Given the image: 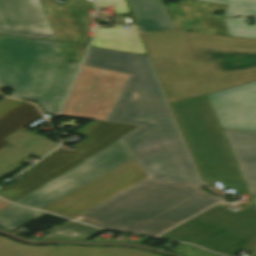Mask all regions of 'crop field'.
Instances as JSON below:
<instances>
[{"instance_id":"crop-field-18","label":"crop field","mask_w":256,"mask_h":256,"mask_svg":"<svg viewBox=\"0 0 256 256\" xmlns=\"http://www.w3.org/2000/svg\"><path fill=\"white\" fill-rule=\"evenodd\" d=\"M55 246H27L0 237V256H44Z\"/></svg>"},{"instance_id":"crop-field-12","label":"crop field","mask_w":256,"mask_h":256,"mask_svg":"<svg viewBox=\"0 0 256 256\" xmlns=\"http://www.w3.org/2000/svg\"><path fill=\"white\" fill-rule=\"evenodd\" d=\"M14 143L18 145L17 149L6 147L0 150V177L19 167L15 163L28 155L32 154L40 158L58 145L33 133L22 137Z\"/></svg>"},{"instance_id":"crop-field-26","label":"crop field","mask_w":256,"mask_h":256,"mask_svg":"<svg viewBox=\"0 0 256 256\" xmlns=\"http://www.w3.org/2000/svg\"><path fill=\"white\" fill-rule=\"evenodd\" d=\"M254 198V202H255V204H256V197H253Z\"/></svg>"},{"instance_id":"crop-field-7","label":"crop field","mask_w":256,"mask_h":256,"mask_svg":"<svg viewBox=\"0 0 256 256\" xmlns=\"http://www.w3.org/2000/svg\"><path fill=\"white\" fill-rule=\"evenodd\" d=\"M127 77V74L83 65L61 115L105 120Z\"/></svg>"},{"instance_id":"crop-field-14","label":"crop field","mask_w":256,"mask_h":256,"mask_svg":"<svg viewBox=\"0 0 256 256\" xmlns=\"http://www.w3.org/2000/svg\"><path fill=\"white\" fill-rule=\"evenodd\" d=\"M140 31L174 29L162 0H127Z\"/></svg>"},{"instance_id":"crop-field-3","label":"crop field","mask_w":256,"mask_h":256,"mask_svg":"<svg viewBox=\"0 0 256 256\" xmlns=\"http://www.w3.org/2000/svg\"><path fill=\"white\" fill-rule=\"evenodd\" d=\"M78 65L63 60L56 42L0 35V86L46 114L58 112Z\"/></svg>"},{"instance_id":"crop-field-20","label":"crop field","mask_w":256,"mask_h":256,"mask_svg":"<svg viewBox=\"0 0 256 256\" xmlns=\"http://www.w3.org/2000/svg\"><path fill=\"white\" fill-rule=\"evenodd\" d=\"M218 4L228 5L225 17L255 15L256 16V0H200Z\"/></svg>"},{"instance_id":"crop-field-21","label":"crop field","mask_w":256,"mask_h":256,"mask_svg":"<svg viewBox=\"0 0 256 256\" xmlns=\"http://www.w3.org/2000/svg\"><path fill=\"white\" fill-rule=\"evenodd\" d=\"M230 36L256 39V25L249 26L245 17L234 19L224 18ZM255 23H256V18ZM244 21H247L245 23Z\"/></svg>"},{"instance_id":"crop-field-5","label":"crop field","mask_w":256,"mask_h":256,"mask_svg":"<svg viewBox=\"0 0 256 256\" xmlns=\"http://www.w3.org/2000/svg\"><path fill=\"white\" fill-rule=\"evenodd\" d=\"M136 125L91 121L74 131L86 139L76 145L75 152L58 148L25 172L24 178L14 184L0 188V197L12 202L43 186L42 183L84 162V159L109 145L119 137L135 129ZM46 183V182H45ZM44 184V183H43Z\"/></svg>"},{"instance_id":"crop-field-4","label":"crop field","mask_w":256,"mask_h":256,"mask_svg":"<svg viewBox=\"0 0 256 256\" xmlns=\"http://www.w3.org/2000/svg\"><path fill=\"white\" fill-rule=\"evenodd\" d=\"M160 237L198 244L234 256L256 238V208L253 205L232 212L217 204Z\"/></svg>"},{"instance_id":"crop-field-19","label":"crop field","mask_w":256,"mask_h":256,"mask_svg":"<svg viewBox=\"0 0 256 256\" xmlns=\"http://www.w3.org/2000/svg\"><path fill=\"white\" fill-rule=\"evenodd\" d=\"M99 232H101V230H97L90 226L69 221L64 225L58 227L57 229L53 230L52 232L46 234L42 238L67 237L88 240Z\"/></svg>"},{"instance_id":"crop-field-8","label":"crop field","mask_w":256,"mask_h":256,"mask_svg":"<svg viewBox=\"0 0 256 256\" xmlns=\"http://www.w3.org/2000/svg\"><path fill=\"white\" fill-rule=\"evenodd\" d=\"M146 177L134 158L41 210L73 219Z\"/></svg>"},{"instance_id":"crop-field-23","label":"crop field","mask_w":256,"mask_h":256,"mask_svg":"<svg viewBox=\"0 0 256 256\" xmlns=\"http://www.w3.org/2000/svg\"><path fill=\"white\" fill-rule=\"evenodd\" d=\"M23 103V101L4 98L0 100V115Z\"/></svg>"},{"instance_id":"crop-field-22","label":"crop field","mask_w":256,"mask_h":256,"mask_svg":"<svg viewBox=\"0 0 256 256\" xmlns=\"http://www.w3.org/2000/svg\"><path fill=\"white\" fill-rule=\"evenodd\" d=\"M98 6L113 5L115 24H134L132 16L124 0H97Z\"/></svg>"},{"instance_id":"crop-field-11","label":"crop field","mask_w":256,"mask_h":256,"mask_svg":"<svg viewBox=\"0 0 256 256\" xmlns=\"http://www.w3.org/2000/svg\"><path fill=\"white\" fill-rule=\"evenodd\" d=\"M250 193L256 196V131L224 129Z\"/></svg>"},{"instance_id":"crop-field-24","label":"crop field","mask_w":256,"mask_h":256,"mask_svg":"<svg viewBox=\"0 0 256 256\" xmlns=\"http://www.w3.org/2000/svg\"><path fill=\"white\" fill-rule=\"evenodd\" d=\"M26 133H28V132L26 131V129L23 128L20 131L16 132L15 134H13V135L5 138V139L10 142V141H13L14 139H16L17 135H19V134H26Z\"/></svg>"},{"instance_id":"crop-field-2","label":"crop field","mask_w":256,"mask_h":256,"mask_svg":"<svg viewBox=\"0 0 256 256\" xmlns=\"http://www.w3.org/2000/svg\"><path fill=\"white\" fill-rule=\"evenodd\" d=\"M169 101L256 79V40L184 33L141 34Z\"/></svg>"},{"instance_id":"crop-field-10","label":"crop field","mask_w":256,"mask_h":256,"mask_svg":"<svg viewBox=\"0 0 256 256\" xmlns=\"http://www.w3.org/2000/svg\"><path fill=\"white\" fill-rule=\"evenodd\" d=\"M0 33L56 40L39 0H0Z\"/></svg>"},{"instance_id":"crop-field-6","label":"crop field","mask_w":256,"mask_h":256,"mask_svg":"<svg viewBox=\"0 0 256 256\" xmlns=\"http://www.w3.org/2000/svg\"><path fill=\"white\" fill-rule=\"evenodd\" d=\"M132 158L118 139L85 159L84 163L47 181L43 187L15 203L40 209Z\"/></svg>"},{"instance_id":"crop-field-13","label":"crop field","mask_w":256,"mask_h":256,"mask_svg":"<svg viewBox=\"0 0 256 256\" xmlns=\"http://www.w3.org/2000/svg\"><path fill=\"white\" fill-rule=\"evenodd\" d=\"M123 28H97L92 46L147 55L135 26Z\"/></svg>"},{"instance_id":"crop-field-16","label":"crop field","mask_w":256,"mask_h":256,"mask_svg":"<svg viewBox=\"0 0 256 256\" xmlns=\"http://www.w3.org/2000/svg\"><path fill=\"white\" fill-rule=\"evenodd\" d=\"M45 256H159L148 252L121 248H91V247H73L56 246Z\"/></svg>"},{"instance_id":"crop-field-1","label":"crop field","mask_w":256,"mask_h":256,"mask_svg":"<svg viewBox=\"0 0 256 256\" xmlns=\"http://www.w3.org/2000/svg\"><path fill=\"white\" fill-rule=\"evenodd\" d=\"M83 64L130 74L106 120L141 125L119 139L150 177L74 220L156 236L222 200L200 190L147 56L91 47Z\"/></svg>"},{"instance_id":"crop-field-25","label":"crop field","mask_w":256,"mask_h":256,"mask_svg":"<svg viewBox=\"0 0 256 256\" xmlns=\"http://www.w3.org/2000/svg\"><path fill=\"white\" fill-rule=\"evenodd\" d=\"M8 204H10V203L5 202V201H3V200L0 201V209L3 208L4 206L8 205Z\"/></svg>"},{"instance_id":"crop-field-17","label":"crop field","mask_w":256,"mask_h":256,"mask_svg":"<svg viewBox=\"0 0 256 256\" xmlns=\"http://www.w3.org/2000/svg\"><path fill=\"white\" fill-rule=\"evenodd\" d=\"M42 214L43 212L28 210L11 204L0 210V226L13 231Z\"/></svg>"},{"instance_id":"crop-field-15","label":"crop field","mask_w":256,"mask_h":256,"mask_svg":"<svg viewBox=\"0 0 256 256\" xmlns=\"http://www.w3.org/2000/svg\"><path fill=\"white\" fill-rule=\"evenodd\" d=\"M39 111V110H38ZM36 107L25 102L16 108L6 112L0 116V149L6 147L10 143L4 140L5 137L15 133L24 125L41 117ZM25 127V126H24Z\"/></svg>"},{"instance_id":"crop-field-27","label":"crop field","mask_w":256,"mask_h":256,"mask_svg":"<svg viewBox=\"0 0 256 256\" xmlns=\"http://www.w3.org/2000/svg\"><path fill=\"white\" fill-rule=\"evenodd\" d=\"M24 136V135H23ZM22 137V136H21ZM20 138V137H19ZM18 139V138H17Z\"/></svg>"},{"instance_id":"crop-field-9","label":"crop field","mask_w":256,"mask_h":256,"mask_svg":"<svg viewBox=\"0 0 256 256\" xmlns=\"http://www.w3.org/2000/svg\"><path fill=\"white\" fill-rule=\"evenodd\" d=\"M208 96L222 128L256 130V81Z\"/></svg>"}]
</instances>
